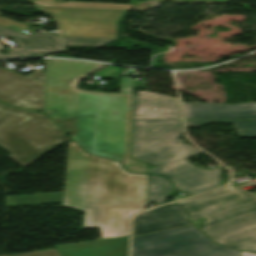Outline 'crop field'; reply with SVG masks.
<instances>
[{
    "label": "crop field",
    "mask_w": 256,
    "mask_h": 256,
    "mask_svg": "<svg viewBox=\"0 0 256 256\" xmlns=\"http://www.w3.org/2000/svg\"><path fill=\"white\" fill-rule=\"evenodd\" d=\"M132 79H121V94L102 93L95 130V154L123 161L129 171L147 172L130 158ZM112 112H116L115 116Z\"/></svg>",
    "instance_id": "crop-field-6"
},
{
    "label": "crop field",
    "mask_w": 256,
    "mask_h": 256,
    "mask_svg": "<svg viewBox=\"0 0 256 256\" xmlns=\"http://www.w3.org/2000/svg\"><path fill=\"white\" fill-rule=\"evenodd\" d=\"M38 6H54V7H84V8H111V9H132L133 5H116V4H98V3H80V2H44L32 1Z\"/></svg>",
    "instance_id": "crop-field-16"
},
{
    "label": "crop field",
    "mask_w": 256,
    "mask_h": 256,
    "mask_svg": "<svg viewBox=\"0 0 256 256\" xmlns=\"http://www.w3.org/2000/svg\"><path fill=\"white\" fill-rule=\"evenodd\" d=\"M210 122H233L239 136L256 138V120H186L187 127H198Z\"/></svg>",
    "instance_id": "crop-field-15"
},
{
    "label": "crop field",
    "mask_w": 256,
    "mask_h": 256,
    "mask_svg": "<svg viewBox=\"0 0 256 256\" xmlns=\"http://www.w3.org/2000/svg\"><path fill=\"white\" fill-rule=\"evenodd\" d=\"M171 191L170 182L166 178L149 174L146 202L164 203Z\"/></svg>",
    "instance_id": "crop-field-14"
},
{
    "label": "crop field",
    "mask_w": 256,
    "mask_h": 256,
    "mask_svg": "<svg viewBox=\"0 0 256 256\" xmlns=\"http://www.w3.org/2000/svg\"><path fill=\"white\" fill-rule=\"evenodd\" d=\"M132 256H240L218 248L192 225L133 237Z\"/></svg>",
    "instance_id": "crop-field-7"
},
{
    "label": "crop field",
    "mask_w": 256,
    "mask_h": 256,
    "mask_svg": "<svg viewBox=\"0 0 256 256\" xmlns=\"http://www.w3.org/2000/svg\"><path fill=\"white\" fill-rule=\"evenodd\" d=\"M182 133L176 98L136 91L132 157L157 165L149 173L167 176L176 189L191 195L220 186V168L201 170L183 160L201 151L184 143L176 144Z\"/></svg>",
    "instance_id": "crop-field-2"
},
{
    "label": "crop field",
    "mask_w": 256,
    "mask_h": 256,
    "mask_svg": "<svg viewBox=\"0 0 256 256\" xmlns=\"http://www.w3.org/2000/svg\"><path fill=\"white\" fill-rule=\"evenodd\" d=\"M176 204L186 209L191 221L211 240L256 251V196L229 185Z\"/></svg>",
    "instance_id": "crop-field-3"
},
{
    "label": "crop field",
    "mask_w": 256,
    "mask_h": 256,
    "mask_svg": "<svg viewBox=\"0 0 256 256\" xmlns=\"http://www.w3.org/2000/svg\"><path fill=\"white\" fill-rule=\"evenodd\" d=\"M61 256H128V236L56 246Z\"/></svg>",
    "instance_id": "crop-field-12"
},
{
    "label": "crop field",
    "mask_w": 256,
    "mask_h": 256,
    "mask_svg": "<svg viewBox=\"0 0 256 256\" xmlns=\"http://www.w3.org/2000/svg\"><path fill=\"white\" fill-rule=\"evenodd\" d=\"M4 256H59V254L56 249H51V250L39 251V252L28 253V254L4 255Z\"/></svg>",
    "instance_id": "crop-field-19"
},
{
    "label": "crop field",
    "mask_w": 256,
    "mask_h": 256,
    "mask_svg": "<svg viewBox=\"0 0 256 256\" xmlns=\"http://www.w3.org/2000/svg\"><path fill=\"white\" fill-rule=\"evenodd\" d=\"M121 68L115 67V66H109L98 73L94 74L97 76H102V77H109V78H114L117 75H119Z\"/></svg>",
    "instance_id": "crop-field-18"
},
{
    "label": "crop field",
    "mask_w": 256,
    "mask_h": 256,
    "mask_svg": "<svg viewBox=\"0 0 256 256\" xmlns=\"http://www.w3.org/2000/svg\"><path fill=\"white\" fill-rule=\"evenodd\" d=\"M147 177L128 173L120 162L89 155L70 142L64 192L9 197V207L63 203L84 211L83 229L105 227L110 207L146 206Z\"/></svg>",
    "instance_id": "crop-field-1"
},
{
    "label": "crop field",
    "mask_w": 256,
    "mask_h": 256,
    "mask_svg": "<svg viewBox=\"0 0 256 256\" xmlns=\"http://www.w3.org/2000/svg\"><path fill=\"white\" fill-rule=\"evenodd\" d=\"M0 34L8 35L19 44V48L9 51L12 54L0 53V58L46 56L63 50L59 37L52 33L27 35L0 26ZM2 48L4 47L0 43V49Z\"/></svg>",
    "instance_id": "crop-field-9"
},
{
    "label": "crop field",
    "mask_w": 256,
    "mask_h": 256,
    "mask_svg": "<svg viewBox=\"0 0 256 256\" xmlns=\"http://www.w3.org/2000/svg\"><path fill=\"white\" fill-rule=\"evenodd\" d=\"M186 119L256 118V102L237 105L183 103Z\"/></svg>",
    "instance_id": "crop-field-11"
},
{
    "label": "crop field",
    "mask_w": 256,
    "mask_h": 256,
    "mask_svg": "<svg viewBox=\"0 0 256 256\" xmlns=\"http://www.w3.org/2000/svg\"><path fill=\"white\" fill-rule=\"evenodd\" d=\"M189 224L181 208L170 204L135 217L133 220V236Z\"/></svg>",
    "instance_id": "crop-field-10"
},
{
    "label": "crop field",
    "mask_w": 256,
    "mask_h": 256,
    "mask_svg": "<svg viewBox=\"0 0 256 256\" xmlns=\"http://www.w3.org/2000/svg\"><path fill=\"white\" fill-rule=\"evenodd\" d=\"M69 138L45 115L0 103V145L28 166Z\"/></svg>",
    "instance_id": "crop-field-5"
},
{
    "label": "crop field",
    "mask_w": 256,
    "mask_h": 256,
    "mask_svg": "<svg viewBox=\"0 0 256 256\" xmlns=\"http://www.w3.org/2000/svg\"><path fill=\"white\" fill-rule=\"evenodd\" d=\"M65 45H88V46H100L111 40L106 39H89V38H72L63 37Z\"/></svg>",
    "instance_id": "crop-field-17"
},
{
    "label": "crop field",
    "mask_w": 256,
    "mask_h": 256,
    "mask_svg": "<svg viewBox=\"0 0 256 256\" xmlns=\"http://www.w3.org/2000/svg\"><path fill=\"white\" fill-rule=\"evenodd\" d=\"M0 100L27 109L44 108V73L39 71L26 78L0 68Z\"/></svg>",
    "instance_id": "crop-field-8"
},
{
    "label": "crop field",
    "mask_w": 256,
    "mask_h": 256,
    "mask_svg": "<svg viewBox=\"0 0 256 256\" xmlns=\"http://www.w3.org/2000/svg\"><path fill=\"white\" fill-rule=\"evenodd\" d=\"M242 256H256V254L242 251Z\"/></svg>",
    "instance_id": "crop-field-21"
},
{
    "label": "crop field",
    "mask_w": 256,
    "mask_h": 256,
    "mask_svg": "<svg viewBox=\"0 0 256 256\" xmlns=\"http://www.w3.org/2000/svg\"><path fill=\"white\" fill-rule=\"evenodd\" d=\"M146 207L111 208L109 227L100 228L103 238L129 235V219Z\"/></svg>",
    "instance_id": "crop-field-13"
},
{
    "label": "crop field",
    "mask_w": 256,
    "mask_h": 256,
    "mask_svg": "<svg viewBox=\"0 0 256 256\" xmlns=\"http://www.w3.org/2000/svg\"><path fill=\"white\" fill-rule=\"evenodd\" d=\"M80 80V78H78L77 80H75L73 83H71L68 87L72 88V89H75L76 90V83ZM80 92H84V93H88V94H94V95H99L101 93H95V92H87V91H81V90H78Z\"/></svg>",
    "instance_id": "crop-field-20"
},
{
    "label": "crop field",
    "mask_w": 256,
    "mask_h": 256,
    "mask_svg": "<svg viewBox=\"0 0 256 256\" xmlns=\"http://www.w3.org/2000/svg\"><path fill=\"white\" fill-rule=\"evenodd\" d=\"M102 66L104 65L69 60H46L45 112L92 154L99 96L83 94L66 86Z\"/></svg>",
    "instance_id": "crop-field-4"
}]
</instances>
